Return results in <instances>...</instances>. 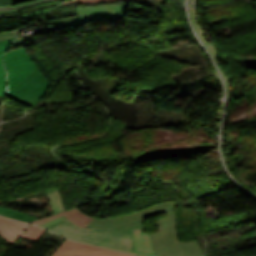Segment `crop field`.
I'll return each mask as SVG.
<instances>
[{
  "mask_svg": "<svg viewBox=\"0 0 256 256\" xmlns=\"http://www.w3.org/2000/svg\"><path fill=\"white\" fill-rule=\"evenodd\" d=\"M12 39H13V38L0 41V52L7 49L8 45H9V43L11 42Z\"/></svg>",
  "mask_w": 256,
  "mask_h": 256,
  "instance_id": "crop-field-19",
  "label": "crop field"
},
{
  "mask_svg": "<svg viewBox=\"0 0 256 256\" xmlns=\"http://www.w3.org/2000/svg\"><path fill=\"white\" fill-rule=\"evenodd\" d=\"M28 227L29 224L0 217V236L12 245Z\"/></svg>",
  "mask_w": 256,
  "mask_h": 256,
  "instance_id": "crop-field-7",
  "label": "crop field"
},
{
  "mask_svg": "<svg viewBox=\"0 0 256 256\" xmlns=\"http://www.w3.org/2000/svg\"><path fill=\"white\" fill-rule=\"evenodd\" d=\"M49 87V82L38 68L26 79L14 87L6 96L31 107L40 101Z\"/></svg>",
  "mask_w": 256,
  "mask_h": 256,
  "instance_id": "crop-field-4",
  "label": "crop field"
},
{
  "mask_svg": "<svg viewBox=\"0 0 256 256\" xmlns=\"http://www.w3.org/2000/svg\"><path fill=\"white\" fill-rule=\"evenodd\" d=\"M52 256H135L67 239Z\"/></svg>",
  "mask_w": 256,
  "mask_h": 256,
  "instance_id": "crop-field-6",
  "label": "crop field"
},
{
  "mask_svg": "<svg viewBox=\"0 0 256 256\" xmlns=\"http://www.w3.org/2000/svg\"><path fill=\"white\" fill-rule=\"evenodd\" d=\"M176 206V202L169 201L113 218H92L86 227L100 229L119 228L143 222L144 217L165 212L168 217L159 220V234L151 235L155 256L203 255L196 242H179L175 232V216L173 212Z\"/></svg>",
  "mask_w": 256,
  "mask_h": 256,
  "instance_id": "crop-field-1",
  "label": "crop field"
},
{
  "mask_svg": "<svg viewBox=\"0 0 256 256\" xmlns=\"http://www.w3.org/2000/svg\"><path fill=\"white\" fill-rule=\"evenodd\" d=\"M126 6L127 5L124 4H110L78 8L76 9L78 16L45 21L41 22L38 25L56 24L55 27L47 29L50 30L54 28L73 26L96 20L120 18L124 17V15L126 14Z\"/></svg>",
  "mask_w": 256,
  "mask_h": 256,
  "instance_id": "crop-field-3",
  "label": "crop field"
},
{
  "mask_svg": "<svg viewBox=\"0 0 256 256\" xmlns=\"http://www.w3.org/2000/svg\"><path fill=\"white\" fill-rule=\"evenodd\" d=\"M0 215H4L7 217H11V218L26 221V222H30L32 220L38 219V218L29 216V215H26L23 213H19V212H16V211H13V210H10L7 208H3V207H0Z\"/></svg>",
  "mask_w": 256,
  "mask_h": 256,
  "instance_id": "crop-field-12",
  "label": "crop field"
},
{
  "mask_svg": "<svg viewBox=\"0 0 256 256\" xmlns=\"http://www.w3.org/2000/svg\"><path fill=\"white\" fill-rule=\"evenodd\" d=\"M4 52L0 53V96L4 97L5 93V79H6V71L2 65L1 56Z\"/></svg>",
  "mask_w": 256,
  "mask_h": 256,
  "instance_id": "crop-field-14",
  "label": "crop field"
},
{
  "mask_svg": "<svg viewBox=\"0 0 256 256\" xmlns=\"http://www.w3.org/2000/svg\"><path fill=\"white\" fill-rule=\"evenodd\" d=\"M43 229V228H42ZM36 226L30 225V227L28 228L27 231H25L20 238L23 239H28V240H32V241H37L39 242V240L42 238V236L45 234L46 231L42 230Z\"/></svg>",
  "mask_w": 256,
  "mask_h": 256,
  "instance_id": "crop-field-11",
  "label": "crop field"
},
{
  "mask_svg": "<svg viewBox=\"0 0 256 256\" xmlns=\"http://www.w3.org/2000/svg\"><path fill=\"white\" fill-rule=\"evenodd\" d=\"M15 36H19L18 33H16V30L5 31L3 33H0V40L15 37Z\"/></svg>",
  "mask_w": 256,
  "mask_h": 256,
  "instance_id": "crop-field-18",
  "label": "crop field"
},
{
  "mask_svg": "<svg viewBox=\"0 0 256 256\" xmlns=\"http://www.w3.org/2000/svg\"><path fill=\"white\" fill-rule=\"evenodd\" d=\"M52 9L53 8H48V9H43V10L36 11V12H33V13L20 15V19L27 18V17H32V16H36V15H40V14H44V13L50 12Z\"/></svg>",
  "mask_w": 256,
  "mask_h": 256,
  "instance_id": "crop-field-17",
  "label": "crop field"
},
{
  "mask_svg": "<svg viewBox=\"0 0 256 256\" xmlns=\"http://www.w3.org/2000/svg\"><path fill=\"white\" fill-rule=\"evenodd\" d=\"M139 227H143V223L111 230L90 229L75 225L65 218L44 228L68 238L135 253L131 229Z\"/></svg>",
  "mask_w": 256,
  "mask_h": 256,
  "instance_id": "crop-field-2",
  "label": "crop field"
},
{
  "mask_svg": "<svg viewBox=\"0 0 256 256\" xmlns=\"http://www.w3.org/2000/svg\"><path fill=\"white\" fill-rule=\"evenodd\" d=\"M131 1H135V2H138V3L153 7L155 9L163 12L162 5L167 0H131Z\"/></svg>",
  "mask_w": 256,
  "mask_h": 256,
  "instance_id": "crop-field-13",
  "label": "crop field"
},
{
  "mask_svg": "<svg viewBox=\"0 0 256 256\" xmlns=\"http://www.w3.org/2000/svg\"><path fill=\"white\" fill-rule=\"evenodd\" d=\"M3 62L8 71L6 94L37 67L23 48L6 53Z\"/></svg>",
  "mask_w": 256,
  "mask_h": 256,
  "instance_id": "crop-field-5",
  "label": "crop field"
},
{
  "mask_svg": "<svg viewBox=\"0 0 256 256\" xmlns=\"http://www.w3.org/2000/svg\"><path fill=\"white\" fill-rule=\"evenodd\" d=\"M46 192H47L48 199L54 214H57L65 210L62 195L60 194V192L56 187L50 190H47Z\"/></svg>",
  "mask_w": 256,
  "mask_h": 256,
  "instance_id": "crop-field-10",
  "label": "crop field"
},
{
  "mask_svg": "<svg viewBox=\"0 0 256 256\" xmlns=\"http://www.w3.org/2000/svg\"><path fill=\"white\" fill-rule=\"evenodd\" d=\"M49 1H54V0H43V1L35 2V3L25 4V5H23V6H18V7L0 8V10H10V9L19 10V9H23V8H26V7H31V6H34V5H37V4H42V3H45V2H49Z\"/></svg>",
  "mask_w": 256,
  "mask_h": 256,
  "instance_id": "crop-field-16",
  "label": "crop field"
},
{
  "mask_svg": "<svg viewBox=\"0 0 256 256\" xmlns=\"http://www.w3.org/2000/svg\"><path fill=\"white\" fill-rule=\"evenodd\" d=\"M63 218H65V217L62 216V217L56 218V219H54V220L48 221V222H46V223H44V224H41V225H39V226L44 227V226H46V225H48V224H51V223L56 222V221H58V220H60V219H63Z\"/></svg>",
  "mask_w": 256,
  "mask_h": 256,
  "instance_id": "crop-field-20",
  "label": "crop field"
},
{
  "mask_svg": "<svg viewBox=\"0 0 256 256\" xmlns=\"http://www.w3.org/2000/svg\"><path fill=\"white\" fill-rule=\"evenodd\" d=\"M132 231L135 238L136 253L154 256L150 235L143 233V228Z\"/></svg>",
  "mask_w": 256,
  "mask_h": 256,
  "instance_id": "crop-field-9",
  "label": "crop field"
},
{
  "mask_svg": "<svg viewBox=\"0 0 256 256\" xmlns=\"http://www.w3.org/2000/svg\"><path fill=\"white\" fill-rule=\"evenodd\" d=\"M35 41L33 35L25 36V37H20L17 38L16 40L13 41L11 46H16L24 43H29Z\"/></svg>",
  "mask_w": 256,
  "mask_h": 256,
  "instance_id": "crop-field-15",
  "label": "crop field"
},
{
  "mask_svg": "<svg viewBox=\"0 0 256 256\" xmlns=\"http://www.w3.org/2000/svg\"><path fill=\"white\" fill-rule=\"evenodd\" d=\"M62 215H65L73 223L79 224L83 227H85L87 225V223L89 222V220L92 218V217H89V216H86V215L82 214L79 211L78 208H74V209H71V210L63 211V212H61L57 215H52V216H49V217H46L44 219H41V220H38V221H35V222H31V223L39 225L43 222H46L48 220H51L53 218H56V217H59V216H62Z\"/></svg>",
  "mask_w": 256,
  "mask_h": 256,
  "instance_id": "crop-field-8",
  "label": "crop field"
}]
</instances>
